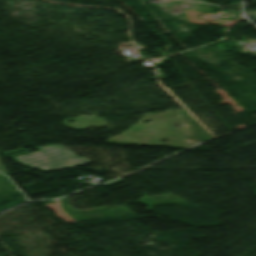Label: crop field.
Here are the masks:
<instances>
[{"instance_id":"8a807250","label":"crop field","mask_w":256,"mask_h":256,"mask_svg":"<svg viewBox=\"0 0 256 256\" xmlns=\"http://www.w3.org/2000/svg\"><path fill=\"white\" fill-rule=\"evenodd\" d=\"M36 149L40 151L13 159L28 167H40L44 170H61L91 162L84 157L76 156L61 145L40 146Z\"/></svg>"},{"instance_id":"ac0d7876","label":"crop field","mask_w":256,"mask_h":256,"mask_svg":"<svg viewBox=\"0 0 256 256\" xmlns=\"http://www.w3.org/2000/svg\"><path fill=\"white\" fill-rule=\"evenodd\" d=\"M246 15L253 21L256 22V12H248Z\"/></svg>"}]
</instances>
